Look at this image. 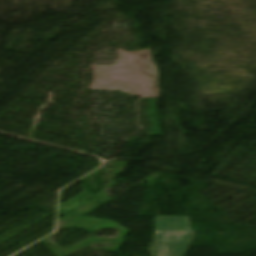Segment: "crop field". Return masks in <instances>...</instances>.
Segmentation results:
<instances>
[{
  "label": "crop field",
  "instance_id": "obj_1",
  "mask_svg": "<svg viewBox=\"0 0 256 256\" xmlns=\"http://www.w3.org/2000/svg\"><path fill=\"white\" fill-rule=\"evenodd\" d=\"M157 256H183L194 233L187 217H155Z\"/></svg>",
  "mask_w": 256,
  "mask_h": 256
}]
</instances>
